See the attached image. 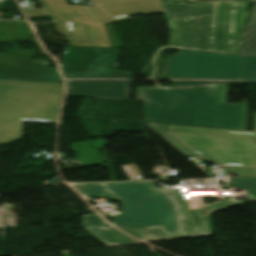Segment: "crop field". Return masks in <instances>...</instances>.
<instances>
[{
    "instance_id": "8a807250",
    "label": "crop field",
    "mask_w": 256,
    "mask_h": 256,
    "mask_svg": "<svg viewBox=\"0 0 256 256\" xmlns=\"http://www.w3.org/2000/svg\"><path fill=\"white\" fill-rule=\"evenodd\" d=\"M226 85L137 88L143 121L246 130L247 104L225 103Z\"/></svg>"
},
{
    "instance_id": "ac0d7876",
    "label": "crop field",
    "mask_w": 256,
    "mask_h": 256,
    "mask_svg": "<svg viewBox=\"0 0 256 256\" xmlns=\"http://www.w3.org/2000/svg\"><path fill=\"white\" fill-rule=\"evenodd\" d=\"M62 84L0 81V144L21 139L22 121L56 123Z\"/></svg>"
},
{
    "instance_id": "34b2d1b8",
    "label": "crop field",
    "mask_w": 256,
    "mask_h": 256,
    "mask_svg": "<svg viewBox=\"0 0 256 256\" xmlns=\"http://www.w3.org/2000/svg\"><path fill=\"white\" fill-rule=\"evenodd\" d=\"M166 79L256 81V56H231L180 49L168 57Z\"/></svg>"
},
{
    "instance_id": "412701ff",
    "label": "crop field",
    "mask_w": 256,
    "mask_h": 256,
    "mask_svg": "<svg viewBox=\"0 0 256 256\" xmlns=\"http://www.w3.org/2000/svg\"><path fill=\"white\" fill-rule=\"evenodd\" d=\"M122 202L123 210L111 223L116 227L162 225L175 232L176 223L171 205L151 182L104 183Z\"/></svg>"
},
{
    "instance_id": "f4fd0767",
    "label": "crop field",
    "mask_w": 256,
    "mask_h": 256,
    "mask_svg": "<svg viewBox=\"0 0 256 256\" xmlns=\"http://www.w3.org/2000/svg\"><path fill=\"white\" fill-rule=\"evenodd\" d=\"M245 3L236 42L224 41L232 2L212 3L217 14L207 15V51L205 50V15L167 19L170 27L169 47H174L175 22L177 21V47L182 48V19H185L184 48L190 49V18H192V49L198 50L197 17H200V50L206 52L236 55L240 54L239 45L245 20L248 16Z\"/></svg>"
},
{
    "instance_id": "dd49c442",
    "label": "crop field",
    "mask_w": 256,
    "mask_h": 256,
    "mask_svg": "<svg viewBox=\"0 0 256 256\" xmlns=\"http://www.w3.org/2000/svg\"><path fill=\"white\" fill-rule=\"evenodd\" d=\"M172 133L203 157L238 172L239 177H256V138Z\"/></svg>"
},
{
    "instance_id": "e52e79f7",
    "label": "crop field",
    "mask_w": 256,
    "mask_h": 256,
    "mask_svg": "<svg viewBox=\"0 0 256 256\" xmlns=\"http://www.w3.org/2000/svg\"><path fill=\"white\" fill-rule=\"evenodd\" d=\"M159 191L174 211L178 234L165 232L163 225L119 229L142 241L209 235L211 233L210 223L207 216L209 212L223 210L247 201L256 202V196L248 195L249 199L247 201L239 202L231 199L228 201H219L213 205H205L202 203L204 210H188L186 201L180 190Z\"/></svg>"
},
{
    "instance_id": "d8731c3e",
    "label": "crop field",
    "mask_w": 256,
    "mask_h": 256,
    "mask_svg": "<svg viewBox=\"0 0 256 256\" xmlns=\"http://www.w3.org/2000/svg\"><path fill=\"white\" fill-rule=\"evenodd\" d=\"M38 1L44 8L25 11L28 18L51 15L57 32L66 34L74 46H110L104 26L94 24L79 5H67L65 0Z\"/></svg>"
},
{
    "instance_id": "5a996713",
    "label": "crop field",
    "mask_w": 256,
    "mask_h": 256,
    "mask_svg": "<svg viewBox=\"0 0 256 256\" xmlns=\"http://www.w3.org/2000/svg\"><path fill=\"white\" fill-rule=\"evenodd\" d=\"M95 7L81 6L94 23L135 19L123 16L160 12L158 0H90Z\"/></svg>"
},
{
    "instance_id": "3316defc",
    "label": "crop field",
    "mask_w": 256,
    "mask_h": 256,
    "mask_svg": "<svg viewBox=\"0 0 256 256\" xmlns=\"http://www.w3.org/2000/svg\"><path fill=\"white\" fill-rule=\"evenodd\" d=\"M67 95L111 99H128L130 80H66Z\"/></svg>"
},
{
    "instance_id": "28ad6ade",
    "label": "crop field",
    "mask_w": 256,
    "mask_h": 256,
    "mask_svg": "<svg viewBox=\"0 0 256 256\" xmlns=\"http://www.w3.org/2000/svg\"><path fill=\"white\" fill-rule=\"evenodd\" d=\"M167 18L216 13L211 3H184L183 0H161Z\"/></svg>"
},
{
    "instance_id": "d1516ede",
    "label": "crop field",
    "mask_w": 256,
    "mask_h": 256,
    "mask_svg": "<svg viewBox=\"0 0 256 256\" xmlns=\"http://www.w3.org/2000/svg\"><path fill=\"white\" fill-rule=\"evenodd\" d=\"M91 233L97 236L108 246L115 245H127V244H137L139 242L121 234L110 226L106 227H86Z\"/></svg>"
},
{
    "instance_id": "22f410ed",
    "label": "crop field",
    "mask_w": 256,
    "mask_h": 256,
    "mask_svg": "<svg viewBox=\"0 0 256 256\" xmlns=\"http://www.w3.org/2000/svg\"><path fill=\"white\" fill-rule=\"evenodd\" d=\"M241 55H256V3L240 45Z\"/></svg>"
},
{
    "instance_id": "cbeb9de0",
    "label": "crop field",
    "mask_w": 256,
    "mask_h": 256,
    "mask_svg": "<svg viewBox=\"0 0 256 256\" xmlns=\"http://www.w3.org/2000/svg\"><path fill=\"white\" fill-rule=\"evenodd\" d=\"M72 187L81 195L116 198L103 183L75 184Z\"/></svg>"
},
{
    "instance_id": "5142ce71",
    "label": "crop field",
    "mask_w": 256,
    "mask_h": 256,
    "mask_svg": "<svg viewBox=\"0 0 256 256\" xmlns=\"http://www.w3.org/2000/svg\"><path fill=\"white\" fill-rule=\"evenodd\" d=\"M169 128L172 131H181V132H197V133H210V134L256 137V120H255V132H240V131L200 129V128H187V127H174V126H169Z\"/></svg>"
},
{
    "instance_id": "d9b57169",
    "label": "crop field",
    "mask_w": 256,
    "mask_h": 256,
    "mask_svg": "<svg viewBox=\"0 0 256 256\" xmlns=\"http://www.w3.org/2000/svg\"><path fill=\"white\" fill-rule=\"evenodd\" d=\"M244 4L233 3L225 40L235 41Z\"/></svg>"
},
{
    "instance_id": "733c2abd",
    "label": "crop field",
    "mask_w": 256,
    "mask_h": 256,
    "mask_svg": "<svg viewBox=\"0 0 256 256\" xmlns=\"http://www.w3.org/2000/svg\"><path fill=\"white\" fill-rule=\"evenodd\" d=\"M153 130H155L158 134H160L162 137H164L167 141H169L172 145H174L176 148H178L181 152H183L186 155H194L191 150L186 148L184 145L179 143L177 140H175L167 131L165 125L161 124H152L147 123Z\"/></svg>"
},
{
    "instance_id": "4a817a6b",
    "label": "crop field",
    "mask_w": 256,
    "mask_h": 256,
    "mask_svg": "<svg viewBox=\"0 0 256 256\" xmlns=\"http://www.w3.org/2000/svg\"><path fill=\"white\" fill-rule=\"evenodd\" d=\"M235 181L238 186L245 188L246 194L256 195V178L242 177Z\"/></svg>"
},
{
    "instance_id": "bc2a9ffb",
    "label": "crop field",
    "mask_w": 256,
    "mask_h": 256,
    "mask_svg": "<svg viewBox=\"0 0 256 256\" xmlns=\"http://www.w3.org/2000/svg\"><path fill=\"white\" fill-rule=\"evenodd\" d=\"M96 214L83 215V226H106Z\"/></svg>"
},
{
    "instance_id": "214f88e0",
    "label": "crop field",
    "mask_w": 256,
    "mask_h": 256,
    "mask_svg": "<svg viewBox=\"0 0 256 256\" xmlns=\"http://www.w3.org/2000/svg\"><path fill=\"white\" fill-rule=\"evenodd\" d=\"M214 83H232L222 81H173V84H214Z\"/></svg>"
}]
</instances>
